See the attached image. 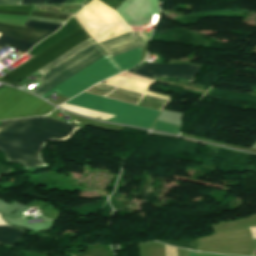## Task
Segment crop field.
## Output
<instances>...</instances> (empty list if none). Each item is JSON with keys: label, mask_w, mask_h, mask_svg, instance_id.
I'll use <instances>...</instances> for the list:
<instances>
[{"label": "crop field", "mask_w": 256, "mask_h": 256, "mask_svg": "<svg viewBox=\"0 0 256 256\" xmlns=\"http://www.w3.org/2000/svg\"><path fill=\"white\" fill-rule=\"evenodd\" d=\"M64 0H48L47 4H63Z\"/></svg>", "instance_id": "730fd06b"}, {"label": "crop field", "mask_w": 256, "mask_h": 256, "mask_svg": "<svg viewBox=\"0 0 256 256\" xmlns=\"http://www.w3.org/2000/svg\"><path fill=\"white\" fill-rule=\"evenodd\" d=\"M0 33L31 41V42H39L46 36L52 34V32L42 31V30H36L21 26H15V25H9V24H3L0 23Z\"/></svg>", "instance_id": "28ad6ade"}, {"label": "crop field", "mask_w": 256, "mask_h": 256, "mask_svg": "<svg viewBox=\"0 0 256 256\" xmlns=\"http://www.w3.org/2000/svg\"><path fill=\"white\" fill-rule=\"evenodd\" d=\"M87 37L89 36L85 31L81 27L78 28L28 62L1 77L0 81L12 85L17 84L42 66L79 44Z\"/></svg>", "instance_id": "412701ff"}, {"label": "crop field", "mask_w": 256, "mask_h": 256, "mask_svg": "<svg viewBox=\"0 0 256 256\" xmlns=\"http://www.w3.org/2000/svg\"><path fill=\"white\" fill-rule=\"evenodd\" d=\"M141 57V48L111 57L121 71H125L138 64Z\"/></svg>", "instance_id": "22f410ed"}, {"label": "crop field", "mask_w": 256, "mask_h": 256, "mask_svg": "<svg viewBox=\"0 0 256 256\" xmlns=\"http://www.w3.org/2000/svg\"><path fill=\"white\" fill-rule=\"evenodd\" d=\"M55 108L40 99L10 87L0 90V120L37 116Z\"/></svg>", "instance_id": "f4fd0767"}, {"label": "crop field", "mask_w": 256, "mask_h": 256, "mask_svg": "<svg viewBox=\"0 0 256 256\" xmlns=\"http://www.w3.org/2000/svg\"><path fill=\"white\" fill-rule=\"evenodd\" d=\"M96 48L98 47L91 40V38H87L58 59L50 62L48 65L37 71L38 73L43 75L39 79L43 82L46 81L53 75L57 74L58 72H60L61 70H63L64 68Z\"/></svg>", "instance_id": "d8731c3e"}, {"label": "crop field", "mask_w": 256, "mask_h": 256, "mask_svg": "<svg viewBox=\"0 0 256 256\" xmlns=\"http://www.w3.org/2000/svg\"><path fill=\"white\" fill-rule=\"evenodd\" d=\"M166 256H177L176 248L165 245Z\"/></svg>", "instance_id": "00972430"}, {"label": "crop field", "mask_w": 256, "mask_h": 256, "mask_svg": "<svg viewBox=\"0 0 256 256\" xmlns=\"http://www.w3.org/2000/svg\"><path fill=\"white\" fill-rule=\"evenodd\" d=\"M25 26L36 28V29L52 31V32H55L57 29L61 27V25H58V24H49V23H40V22H31V21H27Z\"/></svg>", "instance_id": "4a817a6b"}, {"label": "crop field", "mask_w": 256, "mask_h": 256, "mask_svg": "<svg viewBox=\"0 0 256 256\" xmlns=\"http://www.w3.org/2000/svg\"><path fill=\"white\" fill-rule=\"evenodd\" d=\"M60 107L71 110L75 113H79V114H84L86 116L92 117V118H96V119H102V120H106L110 117H113L112 115H108V114H104V113H100L94 110H90V109H85V108H80V107H76V106H71L68 105L66 103H63L62 105H60Z\"/></svg>", "instance_id": "d9b57169"}, {"label": "crop field", "mask_w": 256, "mask_h": 256, "mask_svg": "<svg viewBox=\"0 0 256 256\" xmlns=\"http://www.w3.org/2000/svg\"><path fill=\"white\" fill-rule=\"evenodd\" d=\"M0 224H6L0 217ZM26 231L0 225V243L13 245Z\"/></svg>", "instance_id": "cbeb9de0"}, {"label": "crop field", "mask_w": 256, "mask_h": 256, "mask_svg": "<svg viewBox=\"0 0 256 256\" xmlns=\"http://www.w3.org/2000/svg\"><path fill=\"white\" fill-rule=\"evenodd\" d=\"M159 242H162L164 244L174 245V246L185 247V248H189L191 250H195L196 251L197 239H195V240H188V241H159Z\"/></svg>", "instance_id": "214f88e0"}, {"label": "crop field", "mask_w": 256, "mask_h": 256, "mask_svg": "<svg viewBox=\"0 0 256 256\" xmlns=\"http://www.w3.org/2000/svg\"><path fill=\"white\" fill-rule=\"evenodd\" d=\"M119 72V69L107 56H105L79 73L70 77L55 89L45 93L42 95V97L45 98L56 91L70 98L87 87Z\"/></svg>", "instance_id": "dd49c442"}, {"label": "crop field", "mask_w": 256, "mask_h": 256, "mask_svg": "<svg viewBox=\"0 0 256 256\" xmlns=\"http://www.w3.org/2000/svg\"><path fill=\"white\" fill-rule=\"evenodd\" d=\"M8 45H10L16 49L27 52L35 44L26 42V41H22V40H18V39L1 34L0 35V47L4 48Z\"/></svg>", "instance_id": "5142ce71"}, {"label": "crop field", "mask_w": 256, "mask_h": 256, "mask_svg": "<svg viewBox=\"0 0 256 256\" xmlns=\"http://www.w3.org/2000/svg\"><path fill=\"white\" fill-rule=\"evenodd\" d=\"M103 53L100 49H97L96 51L92 52L88 56H86L83 59H81L80 61H78L77 63L73 64L69 68H67L64 71H62L61 73H59L55 77L51 78L50 80H48L41 86L37 87L32 92L41 96L45 92L51 90L52 88L56 87L60 83L64 82L70 76L77 73L78 71H80L81 69L86 67L87 65L91 64L98 58L102 57L105 54V53L104 54Z\"/></svg>", "instance_id": "5a996713"}, {"label": "crop field", "mask_w": 256, "mask_h": 256, "mask_svg": "<svg viewBox=\"0 0 256 256\" xmlns=\"http://www.w3.org/2000/svg\"><path fill=\"white\" fill-rule=\"evenodd\" d=\"M112 8H116L123 0H101Z\"/></svg>", "instance_id": "92a150f3"}, {"label": "crop field", "mask_w": 256, "mask_h": 256, "mask_svg": "<svg viewBox=\"0 0 256 256\" xmlns=\"http://www.w3.org/2000/svg\"><path fill=\"white\" fill-rule=\"evenodd\" d=\"M199 66L189 64H150L145 63L129 72L155 80L159 76H175L193 79Z\"/></svg>", "instance_id": "e52e79f7"}, {"label": "crop field", "mask_w": 256, "mask_h": 256, "mask_svg": "<svg viewBox=\"0 0 256 256\" xmlns=\"http://www.w3.org/2000/svg\"><path fill=\"white\" fill-rule=\"evenodd\" d=\"M86 0H66L65 4H85Z\"/></svg>", "instance_id": "4177f3b9"}, {"label": "crop field", "mask_w": 256, "mask_h": 256, "mask_svg": "<svg viewBox=\"0 0 256 256\" xmlns=\"http://www.w3.org/2000/svg\"><path fill=\"white\" fill-rule=\"evenodd\" d=\"M73 17L96 43L131 31L114 10L97 0L91 1Z\"/></svg>", "instance_id": "34b2d1b8"}, {"label": "crop field", "mask_w": 256, "mask_h": 256, "mask_svg": "<svg viewBox=\"0 0 256 256\" xmlns=\"http://www.w3.org/2000/svg\"><path fill=\"white\" fill-rule=\"evenodd\" d=\"M32 5L0 6V13L28 15Z\"/></svg>", "instance_id": "733c2abd"}, {"label": "crop field", "mask_w": 256, "mask_h": 256, "mask_svg": "<svg viewBox=\"0 0 256 256\" xmlns=\"http://www.w3.org/2000/svg\"><path fill=\"white\" fill-rule=\"evenodd\" d=\"M78 27H80L78 25V23L73 18H71L57 32H55L53 35L47 37L43 41H41L38 45H36L27 54H29L32 57L35 56L36 54H38L39 52L43 51L44 49H46L47 47H49L53 43L57 42L58 40H60L61 38H63L67 34H69L70 32L74 31Z\"/></svg>", "instance_id": "d1516ede"}, {"label": "crop field", "mask_w": 256, "mask_h": 256, "mask_svg": "<svg viewBox=\"0 0 256 256\" xmlns=\"http://www.w3.org/2000/svg\"><path fill=\"white\" fill-rule=\"evenodd\" d=\"M21 0H0V4H20Z\"/></svg>", "instance_id": "a9b5d70f"}, {"label": "crop field", "mask_w": 256, "mask_h": 256, "mask_svg": "<svg viewBox=\"0 0 256 256\" xmlns=\"http://www.w3.org/2000/svg\"><path fill=\"white\" fill-rule=\"evenodd\" d=\"M77 129L45 117L3 121L0 125V150L7 160L18 161L25 169L44 166L41 151L45 143L66 140Z\"/></svg>", "instance_id": "8a807250"}, {"label": "crop field", "mask_w": 256, "mask_h": 256, "mask_svg": "<svg viewBox=\"0 0 256 256\" xmlns=\"http://www.w3.org/2000/svg\"><path fill=\"white\" fill-rule=\"evenodd\" d=\"M9 170H11V169L0 166V176L3 175L4 173L8 172Z\"/></svg>", "instance_id": "eef30255"}, {"label": "crop field", "mask_w": 256, "mask_h": 256, "mask_svg": "<svg viewBox=\"0 0 256 256\" xmlns=\"http://www.w3.org/2000/svg\"><path fill=\"white\" fill-rule=\"evenodd\" d=\"M188 253H189V256H197L196 253L193 252V251H189V250H188Z\"/></svg>", "instance_id": "ae1a2a85"}, {"label": "crop field", "mask_w": 256, "mask_h": 256, "mask_svg": "<svg viewBox=\"0 0 256 256\" xmlns=\"http://www.w3.org/2000/svg\"><path fill=\"white\" fill-rule=\"evenodd\" d=\"M181 127L156 121L151 129L178 134Z\"/></svg>", "instance_id": "bc2a9ffb"}, {"label": "crop field", "mask_w": 256, "mask_h": 256, "mask_svg": "<svg viewBox=\"0 0 256 256\" xmlns=\"http://www.w3.org/2000/svg\"><path fill=\"white\" fill-rule=\"evenodd\" d=\"M47 0H22L21 4H46Z\"/></svg>", "instance_id": "dafd665d"}, {"label": "crop field", "mask_w": 256, "mask_h": 256, "mask_svg": "<svg viewBox=\"0 0 256 256\" xmlns=\"http://www.w3.org/2000/svg\"><path fill=\"white\" fill-rule=\"evenodd\" d=\"M67 103L119 116L114 117L109 121L146 128H150L159 114V111L85 92L67 101Z\"/></svg>", "instance_id": "ac0d7876"}, {"label": "crop field", "mask_w": 256, "mask_h": 256, "mask_svg": "<svg viewBox=\"0 0 256 256\" xmlns=\"http://www.w3.org/2000/svg\"><path fill=\"white\" fill-rule=\"evenodd\" d=\"M103 51L109 56L131 50L133 48L144 46L142 41L135 35L133 31L110 40L98 43Z\"/></svg>", "instance_id": "3316defc"}]
</instances>
